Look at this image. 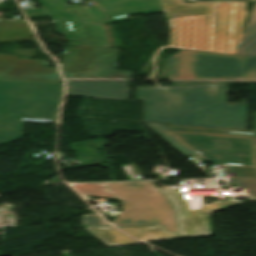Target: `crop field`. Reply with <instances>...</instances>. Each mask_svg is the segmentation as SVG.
Masks as SVG:
<instances>
[{"instance_id":"obj_13","label":"crop field","mask_w":256,"mask_h":256,"mask_svg":"<svg viewBox=\"0 0 256 256\" xmlns=\"http://www.w3.org/2000/svg\"><path fill=\"white\" fill-rule=\"evenodd\" d=\"M241 55H256V3L240 45Z\"/></svg>"},{"instance_id":"obj_1","label":"crop field","mask_w":256,"mask_h":256,"mask_svg":"<svg viewBox=\"0 0 256 256\" xmlns=\"http://www.w3.org/2000/svg\"><path fill=\"white\" fill-rule=\"evenodd\" d=\"M226 85L137 88L143 121L246 130L247 104L225 103Z\"/></svg>"},{"instance_id":"obj_10","label":"crop field","mask_w":256,"mask_h":256,"mask_svg":"<svg viewBox=\"0 0 256 256\" xmlns=\"http://www.w3.org/2000/svg\"><path fill=\"white\" fill-rule=\"evenodd\" d=\"M67 95L111 99H128L130 80H66Z\"/></svg>"},{"instance_id":"obj_16","label":"crop field","mask_w":256,"mask_h":256,"mask_svg":"<svg viewBox=\"0 0 256 256\" xmlns=\"http://www.w3.org/2000/svg\"><path fill=\"white\" fill-rule=\"evenodd\" d=\"M244 4L233 3L225 40L235 41Z\"/></svg>"},{"instance_id":"obj_11","label":"crop field","mask_w":256,"mask_h":256,"mask_svg":"<svg viewBox=\"0 0 256 256\" xmlns=\"http://www.w3.org/2000/svg\"><path fill=\"white\" fill-rule=\"evenodd\" d=\"M167 18L216 13L211 3H184L183 0H161Z\"/></svg>"},{"instance_id":"obj_6","label":"crop field","mask_w":256,"mask_h":256,"mask_svg":"<svg viewBox=\"0 0 256 256\" xmlns=\"http://www.w3.org/2000/svg\"><path fill=\"white\" fill-rule=\"evenodd\" d=\"M172 133L203 157L238 172L239 177H256V138Z\"/></svg>"},{"instance_id":"obj_5","label":"crop field","mask_w":256,"mask_h":256,"mask_svg":"<svg viewBox=\"0 0 256 256\" xmlns=\"http://www.w3.org/2000/svg\"><path fill=\"white\" fill-rule=\"evenodd\" d=\"M245 3L236 42L224 41L232 2L212 3L217 14L207 15V51L205 50V15L167 19L170 27L169 47H174L175 22L177 21V47L182 48V19H185L184 48L190 49V18H192V49L198 50L197 17H200V50L206 52L236 55L240 54L239 45L245 20L248 16Z\"/></svg>"},{"instance_id":"obj_4","label":"crop field","mask_w":256,"mask_h":256,"mask_svg":"<svg viewBox=\"0 0 256 256\" xmlns=\"http://www.w3.org/2000/svg\"><path fill=\"white\" fill-rule=\"evenodd\" d=\"M122 202L123 210L111 223L116 227L162 225L175 232L176 223L171 205L151 182L104 183Z\"/></svg>"},{"instance_id":"obj_17","label":"crop field","mask_w":256,"mask_h":256,"mask_svg":"<svg viewBox=\"0 0 256 256\" xmlns=\"http://www.w3.org/2000/svg\"><path fill=\"white\" fill-rule=\"evenodd\" d=\"M153 130H155L158 134H160L162 137H164L167 141H169L172 145H174L176 148H178L181 152H183L186 155H194L191 150L186 148L184 145L179 143L177 140H175L167 131L165 125L161 124H152L147 123Z\"/></svg>"},{"instance_id":"obj_12","label":"crop field","mask_w":256,"mask_h":256,"mask_svg":"<svg viewBox=\"0 0 256 256\" xmlns=\"http://www.w3.org/2000/svg\"><path fill=\"white\" fill-rule=\"evenodd\" d=\"M91 233L97 236L108 246L115 245H127V244H137L139 242L121 234L110 226L106 227H86Z\"/></svg>"},{"instance_id":"obj_2","label":"crop field","mask_w":256,"mask_h":256,"mask_svg":"<svg viewBox=\"0 0 256 256\" xmlns=\"http://www.w3.org/2000/svg\"><path fill=\"white\" fill-rule=\"evenodd\" d=\"M62 84L0 81V144L21 139L22 121L56 123Z\"/></svg>"},{"instance_id":"obj_7","label":"crop field","mask_w":256,"mask_h":256,"mask_svg":"<svg viewBox=\"0 0 256 256\" xmlns=\"http://www.w3.org/2000/svg\"><path fill=\"white\" fill-rule=\"evenodd\" d=\"M159 191L174 211L178 234L165 232L163 225L119 229L142 241L209 235L211 233L210 223L207 216L209 212L223 210L247 201L256 202V196L248 195L249 199L247 201L239 202L231 199L228 201H219L213 205H205L202 203L204 210H188L186 201L180 190Z\"/></svg>"},{"instance_id":"obj_19","label":"crop field","mask_w":256,"mask_h":256,"mask_svg":"<svg viewBox=\"0 0 256 256\" xmlns=\"http://www.w3.org/2000/svg\"><path fill=\"white\" fill-rule=\"evenodd\" d=\"M96 214L83 215V226H106Z\"/></svg>"},{"instance_id":"obj_15","label":"crop field","mask_w":256,"mask_h":256,"mask_svg":"<svg viewBox=\"0 0 256 256\" xmlns=\"http://www.w3.org/2000/svg\"><path fill=\"white\" fill-rule=\"evenodd\" d=\"M169 128L172 131H181V132H197V133H210V134L256 137V120H255V132H240V131L200 129V128H187V127H174V126H169Z\"/></svg>"},{"instance_id":"obj_20","label":"crop field","mask_w":256,"mask_h":256,"mask_svg":"<svg viewBox=\"0 0 256 256\" xmlns=\"http://www.w3.org/2000/svg\"><path fill=\"white\" fill-rule=\"evenodd\" d=\"M214 83H232L222 81H173V84H214Z\"/></svg>"},{"instance_id":"obj_8","label":"crop field","mask_w":256,"mask_h":256,"mask_svg":"<svg viewBox=\"0 0 256 256\" xmlns=\"http://www.w3.org/2000/svg\"><path fill=\"white\" fill-rule=\"evenodd\" d=\"M38 1L44 8L25 11L28 18L51 15L57 32L66 34L74 46H110L104 26L94 24L79 5H67L65 0Z\"/></svg>"},{"instance_id":"obj_18","label":"crop field","mask_w":256,"mask_h":256,"mask_svg":"<svg viewBox=\"0 0 256 256\" xmlns=\"http://www.w3.org/2000/svg\"><path fill=\"white\" fill-rule=\"evenodd\" d=\"M235 181L238 186L245 188L246 194L256 195V178L242 177Z\"/></svg>"},{"instance_id":"obj_3","label":"crop field","mask_w":256,"mask_h":256,"mask_svg":"<svg viewBox=\"0 0 256 256\" xmlns=\"http://www.w3.org/2000/svg\"><path fill=\"white\" fill-rule=\"evenodd\" d=\"M166 79L256 81V56H231L180 49L168 57Z\"/></svg>"},{"instance_id":"obj_14","label":"crop field","mask_w":256,"mask_h":256,"mask_svg":"<svg viewBox=\"0 0 256 256\" xmlns=\"http://www.w3.org/2000/svg\"><path fill=\"white\" fill-rule=\"evenodd\" d=\"M72 187L81 195L116 198L103 183L75 184Z\"/></svg>"},{"instance_id":"obj_9","label":"crop field","mask_w":256,"mask_h":256,"mask_svg":"<svg viewBox=\"0 0 256 256\" xmlns=\"http://www.w3.org/2000/svg\"><path fill=\"white\" fill-rule=\"evenodd\" d=\"M95 7L81 6L94 23L135 19L123 16L160 12L158 0H90Z\"/></svg>"}]
</instances>
